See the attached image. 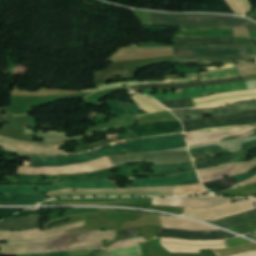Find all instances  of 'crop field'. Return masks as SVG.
Masks as SVG:
<instances>
[{
    "label": "crop field",
    "instance_id": "8a807250",
    "mask_svg": "<svg viewBox=\"0 0 256 256\" xmlns=\"http://www.w3.org/2000/svg\"><path fill=\"white\" fill-rule=\"evenodd\" d=\"M187 146L182 134H175L161 137H151L140 140H131L127 144L110 145L100 148L79 156H57V157H38L31 155H24L33 157L31 165L33 167L40 166H63L69 164H76L91 161L104 156L116 154L119 152H138V151H151L173 149ZM23 155V154H20Z\"/></svg>",
    "mask_w": 256,
    "mask_h": 256
},
{
    "label": "crop field",
    "instance_id": "ac0d7876",
    "mask_svg": "<svg viewBox=\"0 0 256 256\" xmlns=\"http://www.w3.org/2000/svg\"><path fill=\"white\" fill-rule=\"evenodd\" d=\"M112 165L117 166L127 163H135L142 161H150L153 163H173V162H183L190 161V156L188 152L176 153H158V154H149L148 152H140L134 154H124L113 155L107 157ZM105 158H101L89 163H82L68 167L62 168H39L33 169L29 167H20L18 168L17 173L27 174V175H60V174H79V173H90L94 171H99L103 169H108L112 166L109 161Z\"/></svg>",
    "mask_w": 256,
    "mask_h": 256
},
{
    "label": "crop field",
    "instance_id": "34b2d1b8",
    "mask_svg": "<svg viewBox=\"0 0 256 256\" xmlns=\"http://www.w3.org/2000/svg\"><path fill=\"white\" fill-rule=\"evenodd\" d=\"M113 231H93L71 235L46 241L2 244V255H20L45 253L53 251H69L77 249H102V240H114Z\"/></svg>",
    "mask_w": 256,
    "mask_h": 256
},
{
    "label": "crop field",
    "instance_id": "412701ff",
    "mask_svg": "<svg viewBox=\"0 0 256 256\" xmlns=\"http://www.w3.org/2000/svg\"><path fill=\"white\" fill-rule=\"evenodd\" d=\"M142 166H145V165H135V166L122 165V166H118V167H115V168H112V169L91 173V174H88V175L46 177L49 180H45V181H43L44 177L19 175L20 179H18L17 176L14 175L12 177H5L9 181L4 182V183L47 185V184H53V183L68 181V180L91 181V180L103 179V178H107V177H111V176H125V177H134L135 178V176L145 175V176L152 177V175H150L148 173H143V170L140 168ZM149 167H151V170H154V172H155L153 174V177L182 173L183 170L185 172L196 170L193 163L153 165V166H149ZM149 167H147V168H149ZM118 168H120V172L117 173V174H114L110 171V170L118 169ZM180 168H182L181 171L178 170ZM134 170H140V173L139 174H134L133 173ZM54 178H59V179L54 180ZM40 180L42 181V183L38 182Z\"/></svg>",
    "mask_w": 256,
    "mask_h": 256
},
{
    "label": "crop field",
    "instance_id": "f4fd0767",
    "mask_svg": "<svg viewBox=\"0 0 256 256\" xmlns=\"http://www.w3.org/2000/svg\"><path fill=\"white\" fill-rule=\"evenodd\" d=\"M51 199L58 197H81V196H174L172 187L158 188H132V189H72L49 192ZM50 199L43 195H18L0 196V201H18V204H34L38 201Z\"/></svg>",
    "mask_w": 256,
    "mask_h": 256
},
{
    "label": "crop field",
    "instance_id": "dd49c442",
    "mask_svg": "<svg viewBox=\"0 0 256 256\" xmlns=\"http://www.w3.org/2000/svg\"><path fill=\"white\" fill-rule=\"evenodd\" d=\"M151 26L217 28L242 26L256 31V24L240 17L221 15L160 14L152 12Z\"/></svg>",
    "mask_w": 256,
    "mask_h": 256
},
{
    "label": "crop field",
    "instance_id": "e52e79f7",
    "mask_svg": "<svg viewBox=\"0 0 256 256\" xmlns=\"http://www.w3.org/2000/svg\"><path fill=\"white\" fill-rule=\"evenodd\" d=\"M163 226L182 228L189 230H208L215 229L206 225H202L186 219H173L168 217H162ZM165 228L162 229L159 237L178 238L186 240H222L235 237L236 235L224 232L222 230H208V231H189L182 229Z\"/></svg>",
    "mask_w": 256,
    "mask_h": 256
},
{
    "label": "crop field",
    "instance_id": "d8731c3e",
    "mask_svg": "<svg viewBox=\"0 0 256 256\" xmlns=\"http://www.w3.org/2000/svg\"><path fill=\"white\" fill-rule=\"evenodd\" d=\"M129 131L130 132L128 133L111 137L100 142L77 146L75 147L74 153L88 151L105 144H110V143H114V142L125 140V139L164 135V134L183 133L182 125L180 121L162 122V123L144 125L138 128H131L129 129Z\"/></svg>",
    "mask_w": 256,
    "mask_h": 256
},
{
    "label": "crop field",
    "instance_id": "5a996713",
    "mask_svg": "<svg viewBox=\"0 0 256 256\" xmlns=\"http://www.w3.org/2000/svg\"><path fill=\"white\" fill-rule=\"evenodd\" d=\"M256 129L255 126H246V127H232V128H223V129H209L203 131H197L189 134H184L187 136L186 141L188 146L222 141V140H229L235 139L243 134L247 133L248 131ZM256 130H252L250 133L242 136L247 137L250 134L254 133ZM250 136H256V132ZM249 136V137H250Z\"/></svg>",
    "mask_w": 256,
    "mask_h": 256
},
{
    "label": "crop field",
    "instance_id": "3316defc",
    "mask_svg": "<svg viewBox=\"0 0 256 256\" xmlns=\"http://www.w3.org/2000/svg\"><path fill=\"white\" fill-rule=\"evenodd\" d=\"M112 183L106 180H102V181H93V182L68 181L64 183L47 185V186H0V194H4V195L30 194V193L49 192L52 190L67 189V188H73V187L116 188V186ZM34 187H38L39 192H34Z\"/></svg>",
    "mask_w": 256,
    "mask_h": 256
},
{
    "label": "crop field",
    "instance_id": "28ad6ade",
    "mask_svg": "<svg viewBox=\"0 0 256 256\" xmlns=\"http://www.w3.org/2000/svg\"><path fill=\"white\" fill-rule=\"evenodd\" d=\"M249 117H256V111L242 112L229 117L204 118V119L188 120V121H181V122L183 126H188V125L223 122V121L236 120V119L249 118ZM255 123H256V118H249V119L229 121V122H223V123L188 126V127H184V131L191 132V131L202 130L206 128H220V127H228V126L250 125Z\"/></svg>",
    "mask_w": 256,
    "mask_h": 256
},
{
    "label": "crop field",
    "instance_id": "d1516ede",
    "mask_svg": "<svg viewBox=\"0 0 256 256\" xmlns=\"http://www.w3.org/2000/svg\"><path fill=\"white\" fill-rule=\"evenodd\" d=\"M202 88L203 87L187 89L186 93L184 94H182L183 90H177L176 95H172V90H168V95H163L162 90H159V95H149L151 90L144 91V94L155 98L157 101H165L185 99L187 97H201L206 96L207 93H224L230 91L246 90L244 82L206 87L205 90H202Z\"/></svg>",
    "mask_w": 256,
    "mask_h": 256
},
{
    "label": "crop field",
    "instance_id": "22f410ed",
    "mask_svg": "<svg viewBox=\"0 0 256 256\" xmlns=\"http://www.w3.org/2000/svg\"><path fill=\"white\" fill-rule=\"evenodd\" d=\"M84 223L85 221L71 226L46 230L42 232L40 229L26 231H0V240H7L8 242H26L62 237L66 236L65 230L83 226Z\"/></svg>",
    "mask_w": 256,
    "mask_h": 256
},
{
    "label": "crop field",
    "instance_id": "cbeb9de0",
    "mask_svg": "<svg viewBox=\"0 0 256 256\" xmlns=\"http://www.w3.org/2000/svg\"><path fill=\"white\" fill-rule=\"evenodd\" d=\"M175 55L209 54L223 56L253 57V47L215 46V47H173ZM256 57V47H254Z\"/></svg>",
    "mask_w": 256,
    "mask_h": 256
},
{
    "label": "crop field",
    "instance_id": "5142ce71",
    "mask_svg": "<svg viewBox=\"0 0 256 256\" xmlns=\"http://www.w3.org/2000/svg\"><path fill=\"white\" fill-rule=\"evenodd\" d=\"M252 203H255V199L249 198L240 202L232 203L230 205L214 209L198 210L186 208L184 214L193 216L197 219L214 220L221 217L233 215L245 210L253 209L254 206Z\"/></svg>",
    "mask_w": 256,
    "mask_h": 256
},
{
    "label": "crop field",
    "instance_id": "d9b57169",
    "mask_svg": "<svg viewBox=\"0 0 256 256\" xmlns=\"http://www.w3.org/2000/svg\"><path fill=\"white\" fill-rule=\"evenodd\" d=\"M231 203L230 199L206 195L186 199H154V205L159 206H182L191 208H213Z\"/></svg>",
    "mask_w": 256,
    "mask_h": 256
},
{
    "label": "crop field",
    "instance_id": "733c2abd",
    "mask_svg": "<svg viewBox=\"0 0 256 256\" xmlns=\"http://www.w3.org/2000/svg\"><path fill=\"white\" fill-rule=\"evenodd\" d=\"M2 139L0 141V147L25 153L33 154H48V155H57V154H66V152L56 150L57 146H66V143L60 144H46V143H32V142H23L18 140H13L8 137L0 136Z\"/></svg>",
    "mask_w": 256,
    "mask_h": 256
},
{
    "label": "crop field",
    "instance_id": "4a817a6b",
    "mask_svg": "<svg viewBox=\"0 0 256 256\" xmlns=\"http://www.w3.org/2000/svg\"><path fill=\"white\" fill-rule=\"evenodd\" d=\"M224 108L225 110L223 111H220V108L218 107L214 109L178 110V111H171V112L181 120H186L185 117L189 115H192V119L202 118V114H206V113H210L213 117L224 116V115H230V114H234V113H238L246 110L256 109V99L236 102L229 106H225Z\"/></svg>",
    "mask_w": 256,
    "mask_h": 256
},
{
    "label": "crop field",
    "instance_id": "bc2a9ffb",
    "mask_svg": "<svg viewBox=\"0 0 256 256\" xmlns=\"http://www.w3.org/2000/svg\"><path fill=\"white\" fill-rule=\"evenodd\" d=\"M133 99L139 106L140 111L157 112L166 110L160 104L148 97L137 94ZM112 115H138L139 110L136 104L134 105H120L118 100L108 101Z\"/></svg>",
    "mask_w": 256,
    "mask_h": 256
},
{
    "label": "crop field",
    "instance_id": "214f88e0",
    "mask_svg": "<svg viewBox=\"0 0 256 256\" xmlns=\"http://www.w3.org/2000/svg\"><path fill=\"white\" fill-rule=\"evenodd\" d=\"M254 168H256V159L249 162L241 163V164H231V165L212 168V169L200 170L198 171V173H199L201 182L204 183V182L222 179V178H225V176L230 177L232 175L247 172Z\"/></svg>",
    "mask_w": 256,
    "mask_h": 256
},
{
    "label": "crop field",
    "instance_id": "92a150f3",
    "mask_svg": "<svg viewBox=\"0 0 256 256\" xmlns=\"http://www.w3.org/2000/svg\"><path fill=\"white\" fill-rule=\"evenodd\" d=\"M133 181V185H126V187L180 186L200 183L196 172L147 180L133 179Z\"/></svg>",
    "mask_w": 256,
    "mask_h": 256
},
{
    "label": "crop field",
    "instance_id": "dafd665d",
    "mask_svg": "<svg viewBox=\"0 0 256 256\" xmlns=\"http://www.w3.org/2000/svg\"><path fill=\"white\" fill-rule=\"evenodd\" d=\"M251 58L238 57H222V56H208V55H194V56H175V63L184 62L187 64L199 63L203 66L214 64L217 62L229 63L235 60H249Z\"/></svg>",
    "mask_w": 256,
    "mask_h": 256
},
{
    "label": "crop field",
    "instance_id": "00972430",
    "mask_svg": "<svg viewBox=\"0 0 256 256\" xmlns=\"http://www.w3.org/2000/svg\"><path fill=\"white\" fill-rule=\"evenodd\" d=\"M175 36L180 37H233L232 28L191 29L181 28Z\"/></svg>",
    "mask_w": 256,
    "mask_h": 256
},
{
    "label": "crop field",
    "instance_id": "a9b5d70f",
    "mask_svg": "<svg viewBox=\"0 0 256 256\" xmlns=\"http://www.w3.org/2000/svg\"><path fill=\"white\" fill-rule=\"evenodd\" d=\"M244 81L242 77L239 78H231L224 80H216V81H206V82H198V83H188V84H180V85H166V84H151V85H137V86H127L131 89H146V88H167V89H181V88H192L199 87L203 85H215L229 82H239Z\"/></svg>",
    "mask_w": 256,
    "mask_h": 256
},
{
    "label": "crop field",
    "instance_id": "4177f3b9",
    "mask_svg": "<svg viewBox=\"0 0 256 256\" xmlns=\"http://www.w3.org/2000/svg\"><path fill=\"white\" fill-rule=\"evenodd\" d=\"M175 46L233 45L234 38H177Z\"/></svg>",
    "mask_w": 256,
    "mask_h": 256
},
{
    "label": "crop field",
    "instance_id": "730fd06b",
    "mask_svg": "<svg viewBox=\"0 0 256 256\" xmlns=\"http://www.w3.org/2000/svg\"><path fill=\"white\" fill-rule=\"evenodd\" d=\"M256 175V172H247L243 175L219 180V181H214V182H209V183H204V185L213 193L228 190L233 188L237 183H240L242 181H245L247 179H250Z\"/></svg>",
    "mask_w": 256,
    "mask_h": 256
},
{
    "label": "crop field",
    "instance_id": "eef30255",
    "mask_svg": "<svg viewBox=\"0 0 256 256\" xmlns=\"http://www.w3.org/2000/svg\"><path fill=\"white\" fill-rule=\"evenodd\" d=\"M40 215L18 220H7L0 223V230H26L38 228Z\"/></svg>",
    "mask_w": 256,
    "mask_h": 256
},
{
    "label": "crop field",
    "instance_id": "ae1a2a85",
    "mask_svg": "<svg viewBox=\"0 0 256 256\" xmlns=\"http://www.w3.org/2000/svg\"><path fill=\"white\" fill-rule=\"evenodd\" d=\"M254 219H256V209L252 211L244 212L241 214L229 216L226 218H222L214 221H207V222L228 228V227L240 225L242 223H245Z\"/></svg>",
    "mask_w": 256,
    "mask_h": 256
},
{
    "label": "crop field",
    "instance_id": "d3111659",
    "mask_svg": "<svg viewBox=\"0 0 256 256\" xmlns=\"http://www.w3.org/2000/svg\"><path fill=\"white\" fill-rule=\"evenodd\" d=\"M136 236H140V234L136 230V228L126 229V230L122 231V233H121V235H120L118 240L127 239V238H131V237H136ZM144 241H146V239L144 237H141V238H137V239L121 242V243H118V244H114V245H111L108 248L128 246V245H133V244L141 243V242H144Z\"/></svg>",
    "mask_w": 256,
    "mask_h": 256
},
{
    "label": "crop field",
    "instance_id": "750c4746",
    "mask_svg": "<svg viewBox=\"0 0 256 256\" xmlns=\"http://www.w3.org/2000/svg\"><path fill=\"white\" fill-rule=\"evenodd\" d=\"M235 160H236L235 157L233 156V154H231V155L220 157V158L217 157V160H214L213 158H208V159L202 160L201 163L196 161V162H194V164H195L196 169L199 170V169L208 168V167H212V166L230 164V163L234 162ZM207 162H210V163L207 164Z\"/></svg>",
    "mask_w": 256,
    "mask_h": 256
},
{
    "label": "crop field",
    "instance_id": "bd1437ed",
    "mask_svg": "<svg viewBox=\"0 0 256 256\" xmlns=\"http://www.w3.org/2000/svg\"><path fill=\"white\" fill-rule=\"evenodd\" d=\"M26 134H37V137L45 138L44 142H63V141H69V140H77V139H83L82 136L76 137V138H70L66 139L64 133H57V132H49V134H43V132L39 133H33L32 130H25Z\"/></svg>",
    "mask_w": 256,
    "mask_h": 256
},
{
    "label": "crop field",
    "instance_id": "1d83c4d3",
    "mask_svg": "<svg viewBox=\"0 0 256 256\" xmlns=\"http://www.w3.org/2000/svg\"><path fill=\"white\" fill-rule=\"evenodd\" d=\"M251 250H256V244L255 243L240 246V247H234V248H230V249H215V250H212V251H214L217 254V256H229V255H232V254L251 251Z\"/></svg>",
    "mask_w": 256,
    "mask_h": 256
},
{
    "label": "crop field",
    "instance_id": "120bbe31",
    "mask_svg": "<svg viewBox=\"0 0 256 256\" xmlns=\"http://www.w3.org/2000/svg\"><path fill=\"white\" fill-rule=\"evenodd\" d=\"M192 158L202 156V155H214L219 153H228L226 150H222L216 146L206 147V148H199L190 150Z\"/></svg>",
    "mask_w": 256,
    "mask_h": 256
},
{
    "label": "crop field",
    "instance_id": "d32e631a",
    "mask_svg": "<svg viewBox=\"0 0 256 256\" xmlns=\"http://www.w3.org/2000/svg\"><path fill=\"white\" fill-rule=\"evenodd\" d=\"M233 231L239 232L241 234H246L250 232H255L256 231V220L250 221L248 223L242 224L237 227L229 228Z\"/></svg>",
    "mask_w": 256,
    "mask_h": 256
},
{
    "label": "crop field",
    "instance_id": "5866460e",
    "mask_svg": "<svg viewBox=\"0 0 256 256\" xmlns=\"http://www.w3.org/2000/svg\"><path fill=\"white\" fill-rule=\"evenodd\" d=\"M161 103L169 109H182V108H187V103H191V102H188V99H185V100H178V101H165Z\"/></svg>",
    "mask_w": 256,
    "mask_h": 256
},
{
    "label": "crop field",
    "instance_id": "028f5c9d",
    "mask_svg": "<svg viewBox=\"0 0 256 256\" xmlns=\"http://www.w3.org/2000/svg\"><path fill=\"white\" fill-rule=\"evenodd\" d=\"M236 76H240L239 72L211 75V76H203V77H200V79H201V81H206V80L222 79V78H229V77H236Z\"/></svg>",
    "mask_w": 256,
    "mask_h": 256
},
{
    "label": "crop field",
    "instance_id": "e1f06a70",
    "mask_svg": "<svg viewBox=\"0 0 256 256\" xmlns=\"http://www.w3.org/2000/svg\"><path fill=\"white\" fill-rule=\"evenodd\" d=\"M226 1L232 7V9L235 11V13H238V14L247 13V11L244 9V7L237 0H226Z\"/></svg>",
    "mask_w": 256,
    "mask_h": 256
},
{
    "label": "crop field",
    "instance_id": "0bd39190",
    "mask_svg": "<svg viewBox=\"0 0 256 256\" xmlns=\"http://www.w3.org/2000/svg\"><path fill=\"white\" fill-rule=\"evenodd\" d=\"M228 246L229 247H234V246H239V245H244V244H248V243H252L248 240H245L241 237H237V238H232V239H228Z\"/></svg>",
    "mask_w": 256,
    "mask_h": 256
},
{
    "label": "crop field",
    "instance_id": "b80d0937",
    "mask_svg": "<svg viewBox=\"0 0 256 256\" xmlns=\"http://www.w3.org/2000/svg\"><path fill=\"white\" fill-rule=\"evenodd\" d=\"M255 146H256V140L250 141V142H247V143L243 144L241 150L251 148V147H255Z\"/></svg>",
    "mask_w": 256,
    "mask_h": 256
},
{
    "label": "crop field",
    "instance_id": "c035e120",
    "mask_svg": "<svg viewBox=\"0 0 256 256\" xmlns=\"http://www.w3.org/2000/svg\"><path fill=\"white\" fill-rule=\"evenodd\" d=\"M239 2L246 8L248 12H250L251 5L248 0H239Z\"/></svg>",
    "mask_w": 256,
    "mask_h": 256
},
{
    "label": "crop field",
    "instance_id": "c21b1889",
    "mask_svg": "<svg viewBox=\"0 0 256 256\" xmlns=\"http://www.w3.org/2000/svg\"><path fill=\"white\" fill-rule=\"evenodd\" d=\"M11 119H12L11 117L0 115V120L1 121H5V122H8V123H11Z\"/></svg>",
    "mask_w": 256,
    "mask_h": 256
},
{
    "label": "crop field",
    "instance_id": "03da06ac",
    "mask_svg": "<svg viewBox=\"0 0 256 256\" xmlns=\"http://www.w3.org/2000/svg\"><path fill=\"white\" fill-rule=\"evenodd\" d=\"M255 182H256V177L251 179V180L245 181V182H243L239 185L244 186V185L252 184V183H255Z\"/></svg>",
    "mask_w": 256,
    "mask_h": 256
},
{
    "label": "crop field",
    "instance_id": "b54c1fbb",
    "mask_svg": "<svg viewBox=\"0 0 256 256\" xmlns=\"http://www.w3.org/2000/svg\"><path fill=\"white\" fill-rule=\"evenodd\" d=\"M236 256H256V252H248V253H244Z\"/></svg>",
    "mask_w": 256,
    "mask_h": 256
},
{
    "label": "crop field",
    "instance_id": "5d738f31",
    "mask_svg": "<svg viewBox=\"0 0 256 256\" xmlns=\"http://www.w3.org/2000/svg\"><path fill=\"white\" fill-rule=\"evenodd\" d=\"M250 35H251V38L256 39V33L255 32L250 30Z\"/></svg>",
    "mask_w": 256,
    "mask_h": 256
},
{
    "label": "crop field",
    "instance_id": "d23c7cc5",
    "mask_svg": "<svg viewBox=\"0 0 256 256\" xmlns=\"http://www.w3.org/2000/svg\"><path fill=\"white\" fill-rule=\"evenodd\" d=\"M252 41H253V45L256 46V40L252 39Z\"/></svg>",
    "mask_w": 256,
    "mask_h": 256
},
{
    "label": "crop field",
    "instance_id": "425ffa30",
    "mask_svg": "<svg viewBox=\"0 0 256 256\" xmlns=\"http://www.w3.org/2000/svg\"><path fill=\"white\" fill-rule=\"evenodd\" d=\"M224 242H225V244H226V247L228 248L226 240H225Z\"/></svg>",
    "mask_w": 256,
    "mask_h": 256
},
{
    "label": "crop field",
    "instance_id": "25e5ab78",
    "mask_svg": "<svg viewBox=\"0 0 256 256\" xmlns=\"http://www.w3.org/2000/svg\"><path fill=\"white\" fill-rule=\"evenodd\" d=\"M256 20V19H255Z\"/></svg>",
    "mask_w": 256,
    "mask_h": 256
},
{
    "label": "crop field",
    "instance_id": "73cf0c24",
    "mask_svg": "<svg viewBox=\"0 0 256 256\" xmlns=\"http://www.w3.org/2000/svg\"><path fill=\"white\" fill-rule=\"evenodd\" d=\"M256 185V184H255Z\"/></svg>",
    "mask_w": 256,
    "mask_h": 256
}]
</instances>
